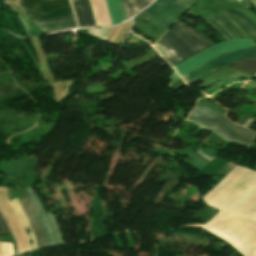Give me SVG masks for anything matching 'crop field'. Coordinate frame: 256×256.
<instances>
[{"label": "crop field", "mask_w": 256, "mask_h": 256, "mask_svg": "<svg viewBox=\"0 0 256 256\" xmlns=\"http://www.w3.org/2000/svg\"><path fill=\"white\" fill-rule=\"evenodd\" d=\"M212 45L203 34L179 21L153 48L173 67Z\"/></svg>", "instance_id": "obj_1"}, {"label": "crop field", "mask_w": 256, "mask_h": 256, "mask_svg": "<svg viewBox=\"0 0 256 256\" xmlns=\"http://www.w3.org/2000/svg\"><path fill=\"white\" fill-rule=\"evenodd\" d=\"M188 119L217 132L223 138L235 143L253 146L256 140V133L231 123L223 115L206 106L196 104Z\"/></svg>", "instance_id": "obj_2"}, {"label": "crop field", "mask_w": 256, "mask_h": 256, "mask_svg": "<svg viewBox=\"0 0 256 256\" xmlns=\"http://www.w3.org/2000/svg\"><path fill=\"white\" fill-rule=\"evenodd\" d=\"M30 20L73 15L69 0H17Z\"/></svg>", "instance_id": "obj_3"}, {"label": "crop field", "mask_w": 256, "mask_h": 256, "mask_svg": "<svg viewBox=\"0 0 256 256\" xmlns=\"http://www.w3.org/2000/svg\"><path fill=\"white\" fill-rule=\"evenodd\" d=\"M254 45L256 44L249 39H236L226 41L201 52L200 54L186 60L185 62L173 68L182 76L223 53Z\"/></svg>", "instance_id": "obj_4"}, {"label": "crop field", "mask_w": 256, "mask_h": 256, "mask_svg": "<svg viewBox=\"0 0 256 256\" xmlns=\"http://www.w3.org/2000/svg\"><path fill=\"white\" fill-rule=\"evenodd\" d=\"M195 0H156L143 13L156 22L169 28L179 14H181Z\"/></svg>", "instance_id": "obj_5"}, {"label": "crop field", "mask_w": 256, "mask_h": 256, "mask_svg": "<svg viewBox=\"0 0 256 256\" xmlns=\"http://www.w3.org/2000/svg\"><path fill=\"white\" fill-rule=\"evenodd\" d=\"M256 58V46L223 54L212 61L204 64L196 70L182 76L186 84L206 75L215 68L236 60Z\"/></svg>", "instance_id": "obj_6"}, {"label": "crop field", "mask_w": 256, "mask_h": 256, "mask_svg": "<svg viewBox=\"0 0 256 256\" xmlns=\"http://www.w3.org/2000/svg\"><path fill=\"white\" fill-rule=\"evenodd\" d=\"M19 200L26 212V215H27V217L30 221V224L34 230V233L36 235L38 248L48 246L41 223H40L39 218L34 210L32 203H31L29 194H26Z\"/></svg>", "instance_id": "obj_7"}, {"label": "crop field", "mask_w": 256, "mask_h": 256, "mask_svg": "<svg viewBox=\"0 0 256 256\" xmlns=\"http://www.w3.org/2000/svg\"><path fill=\"white\" fill-rule=\"evenodd\" d=\"M228 17L245 36H256V26L252 21L235 10L220 11Z\"/></svg>", "instance_id": "obj_8"}, {"label": "crop field", "mask_w": 256, "mask_h": 256, "mask_svg": "<svg viewBox=\"0 0 256 256\" xmlns=\"http://www.w3.org/2000/svg\"><path fill=\"white\" fill-rule=\"evenodd\" d=\"M11 206H12V209L14 211V213L16 214L17 218H18V221L22 227V230L26 236V239H27V244H28V249L30 250L31 249V244H30V241L28 239V236H27V233L24 231V228L25 227H28L30 229V232H29V235H30V238L32 240V245H33V249L37 248V243H36V238L34 236V233H33V230L29 224V221L18 201V198L11 201Z\"/></svg>", "instance_id": "obj_9"}, {"label": "crop field", "mask_w": 256, "mask_h": 256, "mask_svg": "<svg viewBox=\"0 0 256 256\" xmlns=\"http://www.w3.org/2000/svg\"><path fill=\"white\" fill-rule=\"evenodd\" d=\"M73 1H74L80 27L95 26L89 1L88 0H73Z\"/></svg>", "instance_id": "obj_10"}, {"label": "crop field", "mask_w": 256, "mask_h": 256, "mask_svg": "<svg viewBox=\"0 0 256 256\" xmlns=\"http://www.w3.org/2000/svg\"><path fill=\"white\" fill-rule=\"evenodd\" d=\"M27 189H28V191L30 193L31 199H32L34 207H35V209H36V211L38 213V216H39V218H40V220H41V222L43 224L44 230L46 232V237H47L48 244H49V246L50 245H54L55 242H54L53 232H52V230H51V228L49 226V223H48V221H47V219H46V217H45V215L43 213L42 207H41V205H40V203L38 201L36 193H35L33 188H27Z\"/></svg>", "instance_id": "obj_11"}, {"label": "crop field", "mask_w": 256, "mask_h": 256, "mask_svg": "<svg viewBox=\"0 0 256 256\" xmlns=\"http://www.w3.org/2000/svg\"><path fill=\"white\" fill-rule=\"evenodd\" d=\"M109 8L112 24H119L125 20L126 14L121 0H106Z\"/></svg>", "instance_id": "obj_12"}, {"label": "crop field", "mask_w": 256, "mask_h": 256, "mask_svg": "<svg viewBox=\"0 0 256 256\" xmlns=\"http://www.w3.org/2000/svg\"><path fill=\"white\" fill-rule=\"evenodd\" d=\"M36 27L39 28L43 33H47V32L57 31V30L66 29V28H75L76 23L75 21L56 22V23L36 25Z\"/></svg>", "instance_id": "obj_13"}, {"label": "crop field", "mask_w": 256, "mask_h": 256, "mask_svg": "<svg viewBox=\"0 0 256 256\" xmlns=\"http://www.w3.org/2000/svg\"><path fill=\"white\" fill-rule=\"evenodd\" d=\"M153 0H124L128 17H131Z\"/></svg>", "instance_id": "obj_14"}, {"label": "crop field", "mask_w": 256, "mask_h": 256, "mask_svg": "<svg viewBox=\"0 0 256 256\" xmlns=\"http://www.w3.org/2000/svg\"><path fill=\"white\" fill-rule=\"evenodd\" d=\"M221 26H223L233 37L242 36V34L231 24L225 21L223 17L212 16Z\"/></svg>", "instance_id": "obj_15"}, {"label": "crop field", "mask_w": 256, "mask_h": 256, "mask_svg": "<svg viewBox=\"0 0 256 256\" xmlns=\"http://www.w3.org/2000/svg\"><path fill=\"white\" fill-rule=\"evenodd\" d=\"M108 29L109 28H92V29H88V32L90 35L105 41L107 37Z\"/></svg>", "instance_id": "obj_16"}, {"label": "crop field", "mask_w": 256, "mask_h": 256, "mask_svg": "<svg viewBox=\"0 0 256 256\" xmlns=\"http://www.w3.org/2000/svg\"><path fill=\"white\" fill-rule=\"evenodd\" d=\"M205 21H207L208 23H210L212 26H214L217 30H219L222 35L224 37H226L227 39H230L231 37L229 36V34L223 29L221 28L214 20H212L209 16L206 17H202ZM218 31V32H219Z\"/></svg>", "instance_id": "obj_17"}, {"label": "crop field", "mask_w": 256, "mask_h": 256, "mask_svg": "<svg viewBox=\"0 0 256 256\" xmlns=\"http://www.w3.org/2000/svg\"><path fill=\"white\" fill-rule=\"evenodd\" d=\"M11 231L4 216L0 212V232H8Z\"/></svg>", "instance_id": "obj_18"}, {"label": "crop field", "mask_w": 256, "mask_h": 256, "mask_svg": "<svg viewBox=\"0 0 256 256\" xmlns=\"http://www.w3.org/2000/svg\"><path fill=\"white\" fill-rule=\"evenodd\" d=\"M49 214H50V217H51V220H52V223H53L54 229H55V231H56V234H57V236H58L59 243H60V244H64V243H63V240H62V238H61V235H60V232H59V229H58V226H57L56 220H55V218H54V216H53V214H52V213H49Z\"/></svg>", "instance_id": "obj_19"}, {"label": "crop field", "mask_w": 256, "mask_h": 256, "mask_svg": "<svg viewBox=\"0 0 256 256\" xmlns=\"http://www.w3.org/2000/svg\"><path fill=\"white\" fill-rule=\"evenodd\" d=\"M71 19H75L74 16L63 17V18H55V19H48V20H44V21H36V22H33V24L55 22V21H63V20H71Z\"/></svg>", "instance_id": "obj_20"}, {"label": "crop field", "mask_w": 256, "mask_h": 256, "mask_svg": "<svg viewBox=\"0 0 256 256\" xmlns=\"http://www.w3.org/2000/svg\"><path fill=\"white\" fill-rule=\"evenodd\" d=\"M254 76H255V75H254ZM254 76H249V75H245V74H243V73L238 72V73H236V74H234V75H232V76H230V77H228V78H230V79L242 78V79L249 80V79H251V78L254 77Z\"/></svg>", "instance_id": "obj_21"}, {"label": "crop field", "mask_w": 256, "mask_h": 256, "mask_svg": "<svg viewBox=\"0 0 256 256\" xmlns=\"http://www.w3.org/2000/svg\"><path fill=\"white\" fill-rule=\"evenodd\" d=\"M179 19H181V20H183V21L189 23L190 25L193 24V23H195V22L192 21L191 19L185 18V17H183V16H182L181 18H179Z\"/></svg>", "instance_id": "obj_22"}, {"label": "crop field", "mask_w": 256, "mask_h": 256, "mask_svg": "<svg viewBox=\"0 0 256 256\" xmlns=\"http://www.w3.org/2000/svg\"><path fill=\"white\" fill-rule=\"evenodd\" d=\"M46 215H47V217H48V219H49V221H50V223H51V220H50L49 214L47 213ZM51 226H52V223H51ZM52 229H53V226H52ZM53 232H54V229H53ZM54 236H55V242H56V244H58V242H57V237H56L55 232H54Z\"/></svg>", "instance_id": "obj_23"}, {"label": "crop field", "mask_w": 256, "mask_h": 256, "mask_svg": "<svg viewBox=\"0 0 256 256\" xmlns=\"http://www.w3.org/2000/svg\"><path fill=\"white\" fill-rule=\"evenodd\" d=\"M179 78H180V77H179L178 74L173 75V76H172V83L175 82V81H176L177 79H179ZM172 83H171V84H172Z\"/></svg>", "instance_id": "obj_24"}, {"label": "crop field", "mask_w": 256, "mask_h": 256, "mask_svg": "<svg viewBox=\"0 0 256 256\" xmlns=\"http://www.w3.org/2000/svg\"><path fill=\"white\" fill-rule=\"evenodd\" d=\"M255 120H256V118H254L253 120H252V122L249 124V126L247 127V128H249L250 129V127L252 126V124L255 122Z\"/></svg>", "instance_id": "obj_25"}, {"label": "crop field", "mask_w": 256, "mask_h": 256, "mask_svg": "<svg viewBox=\"0 0 256 256\" xmlns=\"http://www.w3.org/2000/svg\"><path fill=\"white\" fill-rule=\"evenodd\" d=\"M8 235H12L11 233H7V234H0V236H8Z\"/></svg>", "instance_id": "obj_26"}]
</instances>
